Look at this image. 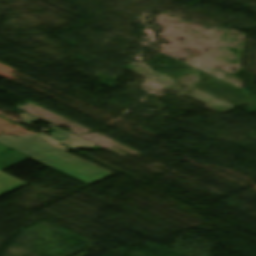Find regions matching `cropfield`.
<instances>
[{
	"label": "crop field",
	"mask_w": 256,
	"mask_h": 256,
	"mask_svg": "<svg viewBox=\"0 0 256 256\" xmlns=\"http://www.w3.org/2000/svg\"><path fill=\"white\" fill-rule=\"evenodd\" d=\"M0 142L90 184L112 175L67 154L69 149L43 135L23 137L1 135Z\"/></svg>",
	"instance_id": "8a807250"
},
{
	"label": "crop field",
	"mask_w": 256,
	"mask_h": 256,
	"mask_svg": "<svg viewBox=\"0 0 256 256\" xmlns=\"http://www.w3.org/2000/svg\"><path fill=\"white\" fill-rule=\"evenodd\" d=\"M27 183L0 171V196H3Z\"/></svg>",
	"instance_id": "ac0d7876"
},
{
	"label": "crop field",
	"mask_w": 256,
	"mask_h": 256,
	"mask_svg": "<svg viewBox=\"0 0 256 256\" xmlns=\"http://www.w3.org/2000/svg\"><path fill=\"white\" fill-rule=\"evenodd\" d=\"M8 148L0 145V152L6 150ZM28 158L27 156L21 154V153H18L16 151L4 156V157H1L0 156V170L8 167V166H11L19 161H22L24 159Z\"/></svg>",
	"instance_id": "34b2d1b8"
},
{
	"label": "crop field",
	"mask_w": 256,
	"mask_h": 256,
	"mask_svg": "<svg viewBox=\"0 0 256 256\" xmlns=\"http://www.w3.org/2000/svg\"><path fill=\"white\" fill-rule=\"evenodd\" d=\"M47 127L50 128V129H52V130H54V131L49 135V137H51V138H53V139H55V140H57V141H59V142H64V141H66V140H68V139H70V138H72V137L75 136V135L72 136V135H70V134H68V133H66V132H64V131H62V130H60V129L54 127V126H52V125H49V126H47Z\"/></svg>",
	"instance_id": "412701ff"
},
{
	"label": "crop field",
	"mask_w": 256,
	"mask_h": 256,
	"mask_svg": "<svg viewBox=\"0 0 256 256\" xmlns=\"http://www.w3.org/2000/svg\"><path fill=\"white\" fill-rule=\"evenodd\" d=\"M64 145H66L68 147H71V148H73L75 150H80V149H85V148H87V147H89V146H91L93 144H91V143H89L87 141H84V140H82L80 138H77V139H75V140H73L71 142H68V143L64 144Z\"/></svg>",
	"instance_id": "f4fd0767"
},
{
	"label": "crop field",
	"mask_w": 256,
	"mask_h": 256,
	"mask_svg": "<svg viewBox=\"0 0 256 256\" xmlns=\"http://www.w3.org/2000/svg\"><path fill=\"white\" fill-rule=\"evenodd\" d=\"M20 116L23 119L21 122H23L25 124H28V125H30V124L34 123L35 121L39 120V119H37V118L27 114V113L21 114Z\"/></svg>",
	"instance_id": "dd49c442"
}]
</instances>
